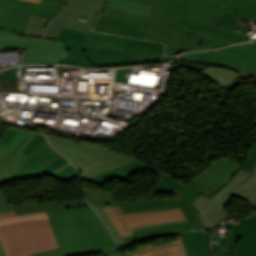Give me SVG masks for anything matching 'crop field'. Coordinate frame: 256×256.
<instances>
[{
	"instance_id": "crop-field-21",
	"label": "crop field",
	"mask_w": 256,
	"mask_h": 256,
	"mask_svg": "<svg viewBox=\"0 0 256 256\" xmlns=\"http://www.w3.org/2000/svg\"><path fill=\"white\" fill-rule=\"evenodd\" d=\"M188 256H209L207 250V231L182 233Z\"/></svg>"
},
{
	"instance_id": "crop-field-44",
	"label": "crop field",
	"mask_w": 256,
	"mask_h": 256,
	"mask_svg": "<svg viewBox=\"0 0 256 256\" xmlns=\"http://www.w3.org/2000/svg\"><path fill=\"white\" fill-rule=\"evenodd\" d=\"M108 256H124L123 254L116 252V253H112V254H107Z\"/></svg>"
},
{
	"instance_id": "crop-field-38",
	"label": "crop field",
	"mask_w": 256,
	"mask_h": 256,
	"mask_svg": "<svg viewBox=\"0 0 256 256\" xmlns=\"http://www.w3.org/2000/svg\"><path fill=\"white\" fill-rule=\"evenodd\" d=\"M180 2V1H179ZM178 3V0H169L165 10H164V13H167L169 15H172L176 5ZM179 4V3H178Z\"/></svg>"
},
{
	"instance_id": "crop-field-22",
	"label": "crop field",
	"mask_w": 256,
	"mask_h": 256,
	"mask_svg": "<svg viewBox=\"0 0 256 256\" xmlns=\"http://www.w3.org/2000/svg\"><path fill=\"white\" fill-rule=\"evenodd\" d=\"M178 242L167 243L138 251L130 256H187L181 236Z\"/></svg>"
},
{
	"instance_id": "crop-field-41",
	"label": "crop field",
	"mask_w": 256,
	"mask_h": 256,
	"mask_svg": "<svg viewBox=\"0 0 256 256\" xmlns=\"http://www.w3.org/2000/svg\"><path fill=\"white\" fill-rule=\"evenodd\" d=\"M175 67H187V68L197 70L200 72H203L206 69L204 67H197V66H193V65H189V64H184V63H178Z\"/></svg>"
},
{
	"instance_id": "crop-field-47",
	"label": "crop field",
	"mask_w": 256,
	"mask_h": 256,
	"mask_svg": "<svg viewBox=\"0 0 256 256\" xmlns=\"http://www.w3.org/2000/svg\"><path fill=\"white\" fill-rule=\"evenodd\" d=\"M27 1H32V2L39 3L40 0H27Z\"/></svg>"
},
{
	"instance_id": "crop-field-1",
	"label": "crop field",
	"mask_w": 256,
	"mask_h": 256,
	"mask_svg": "<svg viewBox=\"0 0 256 256\" xmlns=\"http://www.w3.org/2000/svg\"><path fill=\"white\" fill-rule=\"evenodd\" d=\"M146 169L162 177L153 187L152 193L174 194L176 197L140 201L117 200L118 206L121 207L123 213L128 214L181 208L187 222L134 231V235L123 238L126 244L130 246L136 242L146 239L163 237L165 235L175 234L182 231H191V229H206L202 226L199 217L192 206V201L200 195L199 190L188 188L186 184L144 162L137 160L133 163L100 173L86 181L102 186L113 179L131 182L133 180L129 177L130 175L137 171L142 173Z\"/></svg>"
},
{
	"instance_id": "crop-field-34",
	"label": "crop field",
	"mask_w": 256,
	"mask_h": 256,
	"mask_svg": "<svg viewBox=\"0 0 256 256\" xmlns=\"http://www.w3.org/2000/svg\"><path fill=\"white\" fill-rule=\"evenodd\" d=\"M27 133L18 131L16 136L13 140L7 145L8 153L10 154L11 151L18 145V143L25 137Z\"/></svg>"
},
{
	"instance_id": "crop-field-8",
	"label": "crop field",
	"mask_w": 256,
	"mask_h": 256,
	"mask_svg": "<svg viewBox=\"0 0 256 256\" xmlns=\"http://www.w3.org/2000/svg\"><path fill=\"white\" fill-rule=\"evenodd\" d=\"M49 143L62 153L81 172L83 179L111 168L133 162L135 157L120 154L111 149L75 143L57 137L47 136Z\"/></svg>"
},
{
	"instance_id": "crop-field-13",
	"label": "crop field",
	"mask_w": 256,
	"mask_h": 256,
	"mask_svg": "<svg viewBox=\"0 0 256 256\" xmlns=\"http://www.w3.org/2000/svg\"><path fill=\"white\" fill-rule=\"evenodd\" d=\"M240 168V164L222 155L195 177V186L189 187L199 188L202 195L210 197L222 188Z\"/></svg>"
},
{
	"instance_id": "crop-field-5",
	"label": "crop field",
	"mask_w": 256,
	"mask_h": 256,
	"mask_svg": "<svg viewBox=\"0 0 256 256\" xmlns=\"http://www.w3.org/2000/svg\"><path fill=\"white\" fill-rule=\"evenodd\" d=\"M241 14L256 20V0H181L173 16L242 33L249 25L237 19Z\"/></svg>"
},
{
	"instance_id": "crop-field-43",
	"label": "crop field",
	"mask_w": 256,
	"mask_h": 256,
	"mask_svg": "<svg viewBox=\"0 0 256 256\" xmlns=\"http://www.w3.org/2000/svg\"><path fill=\"white\" fill-rule=\"evenodd\" d=\"M221 28L226 29V30H228V31H231V32H233V33H236V34H238V35H241V36H243V37H246V36H244V35H242V34H240V33H238V32H235V31H233V30H231V29H228V28H226V27H221ZM246 38H248V37H246ZM248 39H249V38H248Z\"/></svg>"
},
{
	"instance_id": "crop-field-33",
	"label": "crop field",
	"mask_w": 256,
	"mask_h": 256,
	"mask_svg": "<svg viewBox=\"0 0 256 256\" xmlns=\"http://www.w3.org/2000/svg\"><path fill=\"white\" fill-rule=\"evenodd\" d=\"M45 137L43 135L37 134L36 137L31 141V143L26 147V149L23 151L25 154H29L33 149H35L43 140Z\"/></svg>"
},
{
	"instance_id": "crop-field-35",
	"label": "crop field",
	"mask_w": 256,
	"mask_h": 256,
	"mask_svg": "<svg viewBox=\"0 0 256 256\" xmlns=\"http://www.w3.org/2000/svg\"><path fill=\"white\" fill-rule=\"evenodd\" d=\"M107 7H111V8L131 12V13H135V14H139V15H143V16H147V17L150 14L148 12H144V11H140V10H136V9H132V8H128V7H123V6H119V5H115V4H111V3H108Z\"/></svg>"
},
{
	"instance_id": "crop-field-46",
	"label": "crop field",
	"mask_w": 256,
	"mask_h": 256,
	"mask_svg": "<svg viewBox=\"0 0 256 256\" xmlns=\"http://www.w3.org/2000/svg\"><path fill=\"white\" fill-rule=\"evenodd\" d=\"M0 256H5L1 242H0Z\"/></svg>"
},
{
	"instance_id": "crop-field-7",
	"label": "crop field",
	"mask_w": 256,
	"mask_h": 256,
	"mask_svg": "<svg viewBox=\"0 0 256 256\" xmlns=\"http://www.w3.org/2000/svg\"><path fill=\"white\" fill-rule=\"evenodd\" d=\"M0 239L6 256H32L59 247L48 219L0 225Z\"/></svg>"
},
{
	"instance_id": "crop-field-3",
	"label": "crop field",
	"mask_w": 256,
	"mask_h": 256,
	"mask_svg": "<svg viewBox=\"0 0 256 256\" xmlns=\"http://www.w3.org/2000/svg\"><path fill=\"white\" fill-rule=\"evenodd\" d=\"M153 6L149 18L107 8L102 15L149 24L146 38L167 44L165 54L176 55L179 51L210 49L234 43L199 30L177 24L179 18L162 13L168 0H131Z\"/></svg>"
},
{
	"instance_id": "crop-field-27",
	"label": "crop field",
	"mask_w": 256,
	"mask_h": 256,
	"mask_svg": "<svg viewBox=\"0 0 256 256\" xmlns=\"http://www.w3.org/2000/svg\"><path fill=\"white\" fill-rule=\"evenodd\" d=\"M42 218H48L45 212L16 216L14 211H12V212H8L0 215V224L6 223V222H12V221L24 220V219H42Z\"/></svg>"
},
{
	"instance_id": "crop-field-14",
	"label": "crop field",
	"mask_w": 256,
	"mask_h": 256,
	"mask_svg": "<svg viewBox=\"0 0 256 256\" xmlns=\"http://www.w3.org/2000/svg\"><path fill=\"white\" fill-rule=\"evenodd\" d=\"M109 217L124 236L132 235L129 227L183 219L180 209L123 215L119 207H104Z\"/></svg>"
},
{
	"instance_id": "crop-field-23",
	"label": "crop field",
	"mask_w": 256,
	"mask_h": 256,
	"mask_svg": "<svg viewBox=\"0 0 256 256\" xmlns=\"http://www.w3.org/2000/svg\"><path fill=\"white\" fill-rule=\"evenodd\" d=\"M178 23L182 24V25L192 27V28H195V29L205 31L207 33H210V34H213V35H216V36H220V37L229 39V40L234 41V42H240V41H247L248 40L246 38H243L241 36H238L236 34H233L231 32L223 30L221 28L212 27V26H209V25H206V24H203V23H200V22H196V21L184 18V17H182Z\"/></svg>"
},
{
	"instance_id": "crop-field-9",
	"label": "crop field",
	"mask_w": 256,
	"mask_h": 256,
	"mask_svg": "<svg viewBox=\"0 0 256 256\" xmlns=\"http://www.w3.org/2000/svg\"><path fill=\"white\" fill-rule=\"evenodd\" d=\"M36 134L28 133L26 137L19 143V145L12 151L8 156L7 150L5 147V142L0 140V187L12 182L13 180L8 175V171L11 170L17 163H19L26 155L21 152L24 148L30 143V141L35 137ZM90 206L87 201H58L45 204H36L33 202H24L17 206L9 205L8 200L5 198L4 194L0 191V214L8 211L14 210L16 215L30 213V212H39V211H48L56 210L70 207H82Z\"/></svg>"
},
{
	"instance_id": "crop-field-45",
	"label": "crop field",
	"mask_w": 256,
	"mask_h": 256,
	"mask_svg": "<svg viewBox=\"0 0 256 256\" xmlns=\"http://www.w3.org/2000/svg\"><path fill=\"white\" fill-rule=\"evenodd\" d=\"M58 72H62V71H64L65 69H64V67H58ZM66 70L67 71H70V68H68V67H66Z\"/></svg>"
},
{
	"instance_id": "crop-field-15",
	"label": "crop field",
	"mask_w": 256,
	"mask_h": 256,
	"mask_svg": "<svg viewBox=\"0 0 256 256\" xmlns=\"http://www.w3.org/2000/svg\"><path fill=\"white\" fill-rule=\"evenodd\" d=\"M227 223L232 232L227 241L226 256H256V215Z\"/></svg>"
},
{
	"instance_id": "crop-field-36",
	"label": "crop field",
	"mask_w": 256,
	"mask_h": 256,
	"mask_svg": "<svg viewBox=\"0 0 256 256\" xmlns=\"http://www.w3.org/2000/svg\"><path fill=\"white\" fill-rule=\"evenodd\" d=\"M3 78H8L9 82H15L18 85V78L15 76V68L0 72V79Z\"/></svg>"
},
{
	"instance_id": "crop-field-25",
	"label": "crop field",
	"mask_w": 256,
	"mask_h": 256,
	"mask_svg": "<svg viewBox=\"0 0 256 256\" xmlns=\"http://www.w3.org/2000/svg\"><path fill=\"white\" fill-rule=\"evenodd\" d=\"M202 74H204L206 77L210 78L220 86H224L234 81L235 77L238 76V74L230 70L214 68H208Z\"/></svg>"
},
{
	"instance_id": "crop-field-19",
	"label": "crop field",
	"mask_w": 256,
	"mask_h": 256,
	"mask_svg": "<svg viewBox=\"0 0 256 256\" xmlns=\"http://www.w3.org/2000/svg\"><path fill=\"white\" fill-rule=\"evenodd\" d=\"M148 25L138 24L134 22H129L121 19L110 18L100 15L98 21L96 22L92 30L144 39Z\"/></svg>"
},
{
	"instance_id": "crop-field-10",
	"label": "crop field",
	"mask_w": 256,
	"mask_h": 256,
	"mask_svg": "<svg viewBox=\"0 0 256 256\" xmlns=\"http://www.w3.org/2000/svg\"><path fill=\"white\" fill-rule=\"evenodd\" d=\"M64 42L23 38L9 30L0 29V50L27 49L22 64L63 63L69 51Z\"/></svg>"
},
{
	"instance_id": "crop-field-31",
	"label": "crop field",
	"mask_w": 256,
	"mask_h": 256,
	"mask_svg": "<svg viewBox=\"0 0 256 256\" xmlns=\"http://www.w3.org/2000/svg\"><path fill=\"white\" fill-rule=\"evenodd\" d=\"M256 163V145L248 152L242 169L251 171Z\"/></svg>"
},
{
	"instance_id": "crop-field-4",
	"label": "crop field",
	"mask_w": 256,
	"mask_h": 256,
	"mask_svg": "<svg viewBox=\"0 0 256 256\" xmlns=\"http://www.w3.org/2000/svg\"><path fill=\"white\" fill-rule=\"evenodd\" d=\"M106 2L107 0H67L55 18L31 15L24 34H17L55 40L63 27L89 34Z\"/></svg>"
},
{
	"instance_id": "crop-field-16",
	"label": "crop field",
	"mask_w": 256,
	"mask_h": 256,
	"mask_svg": "<svg viewBox=\"0 0 256 256\" xmlns=\"http://www.w3.org/2000/svg\"><path fill=\"white\" fill-rule=\"evenodd\" d=\"M60 156L61 155L58 152L50 147L45 139L35 150L8 173L13 180L28 179L46 168Z\"/></svg>"
},
{
	"instance_id": "crop-field-24",
	"label": "crop field",
	"mask_w": 256,
	"mask_h": 256,
	"mask_svg": "<svg viewBox=\"0 0 256 256\" xmlns=\"http://www.w3.org/2000/svg\"><path fill=\"white\" fill-rule=\"evenodd\" d=\"M85 197L92 206L116 204L114 193L108 191L84 188Z\"/></svg>"
},
{
	"instance_id": "crop-field-12",
	"label": "crop field",
	"mask_w": 256,
	"mask_h": 256,
	"mask_svg": "<svg viewBox=\"0 0 256 256\" xmlns=\"http://www.w3.org/2000/svg\"><path fill=\"white\" fill-rule=\"evenodd\" d=\"M179 61L229 67L238 70L241 78H256V55L232 47L216 50L214 54L211 52L185 54Z\"/></svg>"
},
{
	"instance_id": "crop-field-30",
	"label": "crop field",
	"mask_w": 256,
	"mask_h": 256,
	"mask_svg": "<svg viewBox=\"0 0 256 256\" xmlns=\"http://www.w3.org/2000/svg\"><path fill=\"white\" fill-rule=\"evenodd\" d=\"M66 163H68V161L62 156L58 160H56L54 163H52L50 166H48L46 169H44L43 171H41L40 173H38L37 175H35L32 178L42 177L45 174H49L56 168L66 164Z\"/></svg>"
},
{
	"instance_id": "crop-field-28",
	"label": "crop field",
	"mask_w": 256,
	"mask_h": 256,
	"mask_svg": "<svg viewBox=\"0 0 256 256\" xmlns=\"http://www.w3.org/2000/svg\"><path fill=\"white\" fill-rule=\"evenodd\" d=\"M78 175H80L77 170L71 165L67 168H65L64 170L60 171L59 173L53 175V177L68 182L72 179H74L75 177H77Z\"/></svg>"
},
{
	"instance_id": "crop-field-32",
	"label": "crop field",
	"mask_w": 256,
	"mask_h": 256,
	"mask_svg": "<svg viewBox=\"0 0 256 256\" xmlns=\"http://www.w3.org/2000/svg\"><path fill=\"white\" fill-rule=\"evenodd\" d=\"M110 2L119 4V5H123V6H128V7L144 10V11H148V12H150L151 8H152L150 6H146V5H142V4L126 1V0H110Z\"/></svg>"
},
{
	"instance_id": "crop-field-2",
	"label": "crop field",
	"mask_w": 256,
	"mask_h": 256,
	"mask_svg": "<svg viewBox=\"0 0 256 256\" xmlns=\"http://www.w3.org/2000/svg\"><path fill=\"white\" fill-rule=\"evenodd\" d=\"M46 213L60 248L33 256H83L121 251L92 206Z\"/></svg>"
},
{
	"instance_id": "crop-field-42",
	"label": "crop field",
	"mask_w": 256,
	"mask_h": 256,
	"mask_svg": "<svg viewBox=\"0 0 256 256\" xmlns=\"http://www.w3.org/2000/svg\"><path fill=\"white\" fill-rule=\"evenodd\" d=\"M69 165H71V164L69 163V164H67V165H65V166H63V167H61V168H59V169L53 171L52 173H50V175L52 176L53 174L59 172L60 170L64 169L65 167H67V166H69Z\"/></svg>"
},
{
	"instance_id": "crop-field-29",
	"label": "crop field",
	"mask_w": 256,
	"mask_h": 256,
	"mask_svg": "<svg viewBox=\"0 0 256 256\" xmlns=\"http://www.w3.org/2000/svg\"><path fill=\"white\" fill-rule=\"evenodd\" d=\"M103 36L104 34L102 33H96L91 31L87 39L85 40L84 45L90 46L96 49L100 41L102 40Z\"/></svg>"
},
{
	"instance_id": "crop-field-18",
	"label": "crop field",
	"mask_w": 256,
	"mask_h": 256,
	"mask_svg": "<svg viewBox=\"0 0 256 256\" xmlns=\"http://www.w3.org/2000/svg\"><path fill=\"white\" fill-rule=\"evenodd\" d=\"M165 45L156 42L132 39L126 51L123 52L122 65L146 64L169 61L175 56H162Z\"/></svg>"
},
{
	"instance_id": "crop-field-20",
	"label": "crop field",
	"mask_w": 256,
	"mask_h": 256,
	"mask_svg": "<svg viewBox=\"0 0 256 256\" xmlns=\"http://www.w3.org/2000/svg\"><path fill=\"white\" fill-rule=\"evenodd\" d=\"M86 37L87 34L63 28L56 40L66 41L64 48L70 50V53L65 61L66 64H75L92 68L88 65L84 51L81 49V45Z\"/></svg>"
},
{
	"instance_id": "crop-field-26",
	"label": "crop field",
	"mask_w": 256,
	"mask_h": 256,
	"mask_svg": "<svg viewBox=\"0 0 256 256\" xmlns=\"http://www.w3.org/2000/svg\"><path fill=\"white\" fill-rule=\"evenodd\" d=\"M113 206H117V205H113ZM95 209L99 213L100 217L102 218V220L104 221V223L106 224V226L108 227L110 232L112 233L113 237L115 238V240L117 241V243L119 244L121 249H123V250L126 249L128 246L123 241L121 235L117 231L116 227L114 226V224L112 223V221L108 217V215L105 212V210L103 209V207L99 206V207H95Z\"/></svg>"
},
{
	"instance_id": "crop-field-11",
	"label": "crop field",
	"mask_w": 256,
	"mask_h": 256,
	"mask_svg": "<svg viewBox=\"0 0 256 256\" xmlns=\"http://www.w3.org/2000/svg\"><path fill=\"white\" fill-rule=\"evenodd\" d=\"M66 0H41L39 4L23 0H0V28L24 32L30 14L55 17Z\"/></svg>"
},
{
	"instance_id": "crop-field-37",
	"label": "crop field",
	"mask_w": 256,
	"mask_h": 256,
	"mask_svg": "<svg viewBox=\"0 0 256 256\" xmlns=\"http://www.w3.org/2000/svg\"><path fill=\"white\" fill-rule=\"evenodd\" d=\"M232 47L238 48V49L246 51V52L256 54V44H242V45H235Z\"/></svg>"
},
{
	"instance_id": "crop-field-39",
	"label": "crop field",
	"mask_w": 256,
	"mask_h": 256,
	"mask_svg": "<svg viewBox=\"0 0 256 256\" xmlns=\"http://www.w3.org/2000/svg\"><path fill=\"white\" fill-rule=\"evenodd\" d=\"M17 131L14 130H6L4 136H3V140L6 142V145L11 141V139L15 136Z\"/></svg>"
},
{
	"instance_id": "crop-field-17",
	"label": "crop field",
	"mask_w": 256,
	"mask_h": 256,
	"mask_svg": "<svg viewBox=\"0 0 256 256\" xmlns=\"http://www.w3.org/2000/svg\"><path fill=\"white\" fill-rule=\"evenodd\" d=\"M130 40L131 39L129 38L105 34L103 40L97 48L98 51L83 45L82 47L86 51L92 65L100 67L121 65V51H126Z\"/></svg>"
},
{
	"instance_id": "crop-field-40",
	"label": "crop field",
	"mask_w": 256,
	"mask_h": 256,
	"mask_svg": "<svg viewBox=\"0 0 256 256\" xmlns=\"http://www.w3.org/2000/svg\"><path fill=\"white\" fill-rule=\"evenodd\" d=\"M186 221L185 219L183 220H178V221H172V222H166V223H160V224H154V225H147V226H140V227H133L131 228L132 231L142 229V228H147V227H153V226H159V225H165V224H171V223H177V222H183Z\"/></svg>"
},
{
	"instance_id": "crop-field-6",
	"label": "crop field",
	"mask_w": 256,
	"mask_h": 256,
	"mask_svg": "<svg viewBox=\"0 0 256 256\" xmlns=\"http://www.w3.org/2000/svg\"><path fill=\"white\" fill-rule=\"evenodd\" d=\"M233 196L256 204V164L251 172L238 170L234 178L211 198L200 195L194 200L193 205L204 227L213 228L234 214L225 210Z\"/></svg>"
}]
</instances>
